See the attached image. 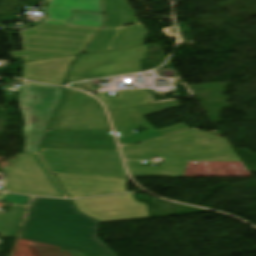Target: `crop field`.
I'll return each mask as SVG.
<instances>
[{
  "label": "crop field",
  "instance_id": "f4fd0767",
  "mask_svg": "<svg viewBox=\"0 0 256 256\" xmlns=\"http://www.w3.org/2000/svg\"><path fill=\"white\" fill-rule=\"evenodd\" d=\"M149 45L82 54L66 82L138 72Z\"/></svg>",
  "mask_w": 256,
  "mask_h": 256
},
{
  "label": "crop field",
  "instance_id": "dafd665d",
  "mask_svg": "<svg viewBox=\"0 0 256 256\" xmlns=\"http://www.w3.org/2000/svg\"><path fill=\"white\" fill-rule=\"evenodd\" d=\"M186 129H189V128L184 126L183 124H179V125H175V126H171V127L162 129V131L164 133H166L167 135H169V134L176 133V132L186 130Z\"/></svg>",
  "mask_w": 256,
  "mask_h": 256
},
{
  "label": "crop field",
  "instance_id": "3316defc",
  "mask_svg": "<svg viewBox=\"0 0 256 256\" xmlns=\"http://www.w3.org/2000/svg\"><path fill=\"white\" fill-rule=\"evenodd\" d=\"M45 20L67 22L69 25L102 27L100 0H51Z\"/></svg>",
  "mask_w": 256,
  "mask_h": 256
},
{
  "label": "crop field",
  "instance_id": "cbeb9de0",
  "mask_svg": "<svg viewBox=\"0 0 256 256\" xmlns=\"http://www.w3.org/2000/svg\"><path fill=\"white\" fill-rule=\"evenodd\" d=\"M78 56L24 63L22 78L62 85L70 65Z\"/></svg>",
  "mask_w": 256,
  "mask_h": 256
},
{
  "label": "crop field",
  "instance_id": "00972430",
  "mask_svg": "<svg viewBox=\"0 0 256 256\" xmlns=\"http://www.w3.org/2000/svg\"><path fill=\"white\" fill-rule=\"evenodd\" d=\"M43 23H50V24H61V25H66L64 23H57V22H43Z\"/></svg>",
  "mask_w": 256,
  "mask_h": 256
},
{
  "label": "crop field",
  "instance_id": "92a150f3",
  "mask_svg": "<svg viewBox=\"0 0 256 256\" xmlns=\"http://www.w3.org/2000/svg\"><path fill=\"white\" fill-rule=\"evenodd\" d=\"M27 199H28V197H24V196L3 194L0 201L7 202V203H13V204H19V205H25L27 203Z\"/></svg>",
  "mask_w": 256,
  "mask_h": 256
},
{
  "label": "crop field",
  "instance_id": "bc2a9ffb",
  "mask_svg": "<svg viewBox=\"0 0 256 256\" xmlns=\"http://www.w3.org/2000/svg\"><path fill=\"white\" fill-rule=\"evenodd\" d=\"M26 207L12 205L9 212H0V234L16 237Z\"/></svg>",
  "mask_w": 256,
  "mask_h": 256
},
{
  "label": "crop field",
  "instance_id": "d1516ede",
  "mask_svg": "<svg viewBox=\"0 0 256 256\" xmlns=\"http://www.w3.org/2000/svg\"><path fill=\"white\" fill-rule=\"evenodd\" d=\"M147 35L143 25L101 30L92 37L84 52L142 45Z\"/></svg>",
  "mask_w": 256,
  "mask_h": 256
},
{
  "label": "crop field",
  "instance_id": "34b2d1b8",
  "mask_svg": "<svg viewBox=\"0 0 256 256\" xmlns=\"http://www.w3.org/2000/svg\"><path fill=\"white\" fill-rule=\"evenodd\" d=\"M52 173L126 178L118 151L43 149Z\"/></svg>",
  "mask_w": 256,
  "mask_h": 256
},
{
  "label": "crop field",
  "instance_id": "412701ff",
  "mask_svg": "<svg viewBox=\"0 0 256 256\" xmlns=\"http://www.w3.org/2000/svg\"><path fill=\"white\" fill-rule=\"evenodd\" d=\"M61 98V88L26 82L19 93L25 120L24 153L38 152L45 129Z\"/></svg>",
  "mask_w": 256,
  "mask_h": 256
},
{
  "label": "crop field",
  "instance_id": "e52e79f7",
  "mask_svg": "<svg viewBox=\"0 0 256 256\" xmlns=\"http://www.w3.org/2000/svg\"><path fill=\"white\" fill-rule=\"evenodd\" d=\"M48 129L111 130L97 100L64 88V98Z\"/></svg>",
  "mask_w": 256,
  "mask_h": 256
},
{
  "label": "crop field",
  "instance_id": "22f410ed",
  "mask_svg": "<svg viewBox=\"0 0 256 256\" xmlns=\"http://www.w3.org/2000/svg\"><path fill=\"white\" fill-rule=\"evenodd\" d=\"M176 100L110 111L117 136L132 134L133 130L151 127L142 117L145 114L177 106Z\"/></svg>",
  "mask_w": 256,
  "mask_h": 256
},
{
  "label": "crop field",
  "instance_id": "28ad6ade",
  "mask_svg": "<svg viewBox=\"0 0 256 256\" xmlns=\"http://www.w3.org/2000/svg\"><path fill=\"white\" fill-rule=\"evenodd\" d=\"M70 198L125 192L126 179L54 174Z\"/></svg>",
  "mask_w": 256,
  "mask_h": 256
},
{
  "label": "crop field",
  "instance_id": "4a817a6b",
  "mask_svg": "<svg viewBox=\"0 0 256 256\" xmlns=\"http://www.w3.org/2000/svg\"><path fill=\"white\" fill-rule=\"evenodd\" d=\"M108 110L150 103L145 90L121 91L117 96H105V92L95 94Z\"/></svg>",
  "mask_w": 256,
  "mask_h": 256
},
{
  "label": "crop field",
  "instance_id": "dd49c442",
  "mask_svg": "<svg viewBox=\"0 0 256 256\" xmlns=\"http://www.w3.org/2000/svg\"><path fill=\"white\" fill-rule=\"evenodd\" d=\"M16 158L13 168L5 167L6 192L66 198L37 153Z\"/></svg>",
  "mask_w": 256,
  "mask_h": 256
},
{
  "label": "crop field",
  "instance_id": "214f88e0",
  "mask_svg": "<svg viewBox=\"0 0 256 256\" xmlns=\"http://www.w3.org/2000/svg\"><path fill=\"white\" fill-rule=\"evenodd\" d=\"M147 129L149 130L134 135H130L124 138H120L119 140L121 144H134L149 139L165 136L163 132H161L160 130L156 131L153 127Z\"/></svg>",
  "mask_w": 256,
  "mask_h": 256
},
{
  "label": "crop field",
  "instance_id": "ac0d7876",
  "mask_svg": "<svg viewBox=\"0 0 256 256\" xmlns=\"http://www.w3.org/2000/svg\"><path fill=\"white\" fill-rule=\"evenodd\" d=\"M174 135L143 143L138 146H122L126 159L163 157V166L130 167L132 176H182L188 160L198 161H240L236 153H194L171 151Z\"/></svg>",
  "mask_w": 256,
  "mask_h": 256
},
{
  "label": "crop field",
  "instance_id": "5a996713",
  "mask_svg": "<svg viewBox=\"0 0 256 256\" xmlns=\"http://www.w3.org/2000/svg\"><path fill=\"white\" fill-rule=\"evenodd\" d=\"M66 26L40 24L34 29L20 31L24 52H11L12 57H24L21 62L54 57L67 32Z\"/></svg>",
  "mask_w": 256,
  "mask_h": 256
},
{
  "label": "crop field",
  "instance_id": "8a807250",
  "mask_svg": "<svg viewBox=\"0 0 256 256\" xmlns=\"http://www.w3.org/2000/svg\"><path fill=\"white\" fill-rule=\"evenodd\" d=\"M97 228L98 222L79 214L67 200L34 197L18 238L96 256H115L96 238Z\"/></svg>",
  "mask_w": 256,
  "mask_h": 256
},
{
  "label": "crop field",
  "instance_id": "5142ce71",
  "mask_svg": "<svg viewBox=\"0 0 256 256\" xmlns=\"http://www.w3.org/2000/svg\"><path fill=\"white\" fill-rule=\"evenodd\" d=\"M172 150L193 152H234L223 138L211 136L196 130L176 134Z\"/></svg>",
  "mask_w": 256,
  "mask_h": 256
},
{
  "label": "crop field",
  "instance_id": "d9b57169",
  "mask_svg": "<svg viewBox=\"0 0 256 256\" xmlns=\"http://www.w3.org/2000/svg\"><path fill=\"white\" fill-rule=\"evenodd\" d=\"M106 14L104 28L122 27L124 24H137L138 21L125 0H102Z\"/></svg>",
  "mask_w": 256,
  "mask_h": 256
},
{
  "label": "crop field",
  "instance_id": "d8731c3e",
  "mask_svg": "<svg viewBox=\"0 0 256 256\" xmlns=\"http://www.w3.org/2000/svg\"><path fill=\"white\" fill-rule=\"evenodd\" d=\"M73 202L81 213L100 222L149 218L147 204L136 201L133 194L80 199Z\"/></svg>",
  "mask_w": 256,
  "mask_h": 256
},
{
  "label": "crop field",
  "instance_id": "733c2abd",
  "mask_svg": "<svg viewBox=\"0 0 256 256\" xmlns=\"http://www.w3.org/2000/svg\"><path fill=\"white\" fill-rule=\"evenodd\" d=\"M96 31L98 30L69 27L55 57L81 54L87 41Z\"/></svg>",
  "mask_w": 256,
  "mask_h": 256
}]
</instances>
